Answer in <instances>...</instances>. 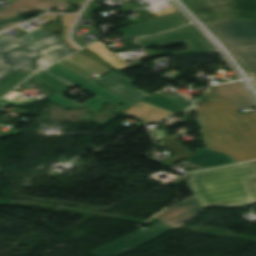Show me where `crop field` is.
Masks as SVG:
<instances>
[{
    "instance_id": "crop-field-1",
    "label": "crop field",
    "mask_w": 256,
    "mask_h": 256,
    "mask_svg": "<svg viewBox=\"0 0 256 256\" xmlns=\"http://www.w3.org/2000/svg\"><path fill=\"white\" fill-rule=\"evenodd\" d=\"M206 147L236 162L256 158V113L241 115L225 100L196 107Z\"/></svg>"
},
{
    "instance_id": "crop-field-10",
    "label": "crop field",
    "mask_w": 256,
    "mask_h": 256,
    "mask_svg": "<svg viewBox=\"0 0 256 256\" xmlns=\"http://www.w3.org/2000/svg\"><path fill=\"white\" fill-rule=\"evenodd\" d=\"M27 45L31 44L0 34V61L12 66H20L34 71L53 63L15 51Z\"/></svg>"
},
{
    "instance_id": "crop-field-14",
    "label": "crop field",
    "mask_w": 256,
    "mask_h": 256,
    "mask_svg": "<svg viewBox=\"0 0 256 256\" xmlns=\"http://www.w3.org/2000/svg\"><path fill=\"white\" fill-rule=\"evenodd\" d=\"M63 3L56 0H18L0 11V20L17 16L22 12L48 10Z\"/></svg>"
},
{
    "instance_id": "crop-field-15",
    "label": "crop field",
    "mask_w": 256,
    "mask_h": 256,
    "mask_svg": "<svg viewBox=\"0 0 256 256\" xmlns=\"http://www.w3.org/2000/svg\"><path fill=\"white\" fill-rule=\"evenodd\" d=\"M185 160L206 168L235 163L226 153L217 152L208 148L198 151Z\"/></svg>"
},
{
    "instance_id": "crop-field-16",
    "label": "crop field",
    "mask_w": 256,
    "mask_h": 256,
    "mask_svg": "<svg viewBox=\"0 0 256 256\" xmlns=\"http://www.w3.org/2000/svg\"><path fill=\"white\" fill-rule=\"evenodd\" d=\"M143 102L173 111V112H181L192 105V103L186 101L184 98L177 97H167L158 93L152 94L147 97Z\"/></svg>"
},
{
    "instance_id": "crop-field-6",
    "label": "crop field",
    "mask_w": 256,
    "mask_h": 256,
    "mask_svg": "<svg viewBox=\"0 0 256 256\" xmlns=\"http://www.w3.org/2000/svg\"><path fill=\"white\" fill-rule=\"evenodd\" d=\"M203 21L221 18L256 19V0H184Z\"/></svg>"
},
{
    "instance_id": "crop-field-17",
    "label": "crop field",
    "mask_w": 256,
    "mask_h": 256,
    "mask_svg": "<svg viewBox=\"0 0 256 256\" xmlns=\"http://www.w3.org/2000/svg\"><path fill=\"white\" fill-rule=\"evenodd\" d=\"M156 145L161 147V148L166 146L177 154V155H175V156H173V157H171V158L162 162V163L167 164L169 166L176 163L177 161H179L183 158H186V157L194 154V153L190 152L189 150L185 149L184 146H182L181 144L172 140L169 136H167L164 139L157 142Z\"/></svg>"
},
{
    "instance_id": "crop-field-20",
    "label": "crop field",
    "mask_w": 256,
    "mask_h": 256,
    "mask_svg": "<svg viewBox=\"0 0 256 256\" xmlns=\"http://www.w3.org/2000/svg\"><path fill=\"white\" fill-rule=\"evenodd\" d=\"M24 20H26V19L21 18V19L14 20V21H10V22H8V23H5V24L0 25V32L3 31V30L8 29V28H10V27H13V26H15V25L21 23V22L24 21Z\"/></svg>"
},
{
    "instance_id": "crop-field-11",
    "label": "crop field",
    "mask_w": 256,
    "mask_h": 256,
    "mask_svg": "<svg viewBox=\"0 0 256 256\" xmlns=\"http://www.w3.org/2000/svg\"><path fill=\"white\" fill-rule=\"evenodd\" d=\"M187 23L188 21L179 12H177L170 15L132 24L118 30L127 40H130L138 38L141 35H150L153 33L172 29Z\"/></svg>"
},
{
    "instance_id": "crop-field-23",
    "label": "crop field",
    "mask_w": 256,
    "mask_h": 256,
    "mask_svg": "<svg viewBox=\"0 0 256 256\" xmlns=\"http://www.w3.org/2000/svg\"><path fill=\"white\" fill-rule=\"evenodd\" d=\"M61 1H65V2H68V1H71V0H61Z\"/></svg>"
},
{
    "instance_id": "crop-field-12",
    "label": "crop field",
    "mask_w": 256,
    "mask_h": 256,
    "mask_svg": "<svg viewBox=\"0 0 256 256\" xmlns=\"http://www.w3.org/2000/svg\"><path fill=\"white\" fill-rule=\"evenodd\" d=\"M202 212L203 209L194 196L169 207L153 218L176 228Z\"/></svg>"
},
{
    "instance_id": "crop-field-21",
    "label": "crop field",
    "mask_w": 256,
    "mask_h": 256,
    "mask_svg": "<svg viewBox=\"0 0 256 256\" xmlns=\"http://www.w3.org/2000/svg\"><path fill=\"white\" fill-rule=\"evenodd\" d=\"M250 182H251V185H252V189H253V191L256 195V179H252V180H250Z\"/></svg>"
},
{
    "instance_id": "crop-field-22",
    "label": "crop field",
    "mask_w": 256,
    "mask_h": 256,
    "mask_svg": "<svg viewBox=\"0 0 256 256\" xmlns=\"http://www.w3.org/2000/svg\"><path fill=\"white\" fill-rule=\"evenodd\" d=\"M4 1H6V2L12 4V3H13L14 1H16V0H4Z\"/></svg>"
},
{
    "instance_id": "crop-field-18",
    "label": "crop field",
    "mask_w": 256,
    "mask_h": 256,
    "mask_svg": "<svg viewBox=\"0 0 256 256\" xmlns=\"http://www.w3.org/2000/svg\"><path fill=\"white\" fill-rule=\"evenodd\" d=\"M27 70L19 68L17 71L9 75L7 78L0 82V97L19 84L26 76L31 74Z\"/></svg>"
},
{
    "instance_id": "crop-field-7",
    "label": "crop field",
    "mask_w": 256,
    "mask_h": 256,
    "mask_svg": "<svg viewBox=\"0 0 256 256\" xmlns=\"http://www.w3.org/2000/svg\"><path fill=\"white\" fill-rule=\"evenodd\" d=\"M137 41L144 48L152 46L162 47L184 42L188 50L174 52L172 55L198 54L214 50L192 25H187L167 33L150 36Z\"/></svg>"
},
{
    "instance_id": "crop-field-13",
    "label": "crop field",
    "mask_w": 256,
    "mask_h": 256,
    "mask_svg": "<svg viewBox=\"0 0 256 256\" xmlns=\"http://www.w3.org/2000/svg\"><path fill=\"white\" fill-rule=\"evenodd\" d=\"M212 88L237 110L255 107L240 82L216 85Z\"/></svg>"
},
{
    "instance_id": "crop-field-25",
    "label": "crop field",
    "mask_w": 256,
    "mask_h": 256,
    "mask_svg": "<svg viewBox=\"0 0 256 256\" xmlns=\"http://www.w3.org/2000/svg\"><path fill=\"white\" fill-rule=\"evenodd\" d=\"M256 165V161L253 162Z\"/></svg>"
},
{
    "instance_id": "crop-field-2",
    "label": "crop field",
    "mask_w": 256,
    "mask_h": 256,
    "mask_svg": "<svg viewBox=\"0 0 256 256\" xmlns=\"http://www.w3.org/2000/svg\"><path fill=\"white\" fill-rule=\"evenodd\" d=\"M251 178H256V166L249 162L192 174L187 182L203 209L212 206L230 208L256 204L248 181Z\"/></svg>"
},
{
    "instance_id": "crop-field-8",
    "label": "crop field",
    "mask_w": 256,
    "mask_h": 256,
    "mask_svg": "<svg viewBox=\"0 0 256 256\" xmlns=\"http://www.w3.org/2000/svg\"><path fill=\"white\" fill-rule=\"evenodd\" d=\"M61 29H63V27L55 21L43 28H40V29L34 31L33 33L19 39V40L31 43L33 45L19 49V51H22L24 53L30 54L35 57H39V56H43V55L57 49V48H61L65 45H67L63 40H61L60 38H57L58 34H55L41 42L38 41L44 37L51 35L48 32H57ZM71 50H72L71 48L67 47L59 52H53L45 57H42V59H46V60L55 62L65 56L71 54L72 53V52H70Z\"/></svg>"
},
{
    "instance_id": "crop-field-24",
    "label": "crop field",
    "mask_w": 256,
    "mask_h": 256,
    "mask_svg": "<svg viewBox=\"0 0 256 256\" xmlns=\"http://www.w3.org/2000/svg\"><path fill=\"white\" fill-rule=\"evenodd\" d=\"M3 171H2V169L0 168V173H2Z\"/></svg>"
},
{
    "instance_id": "crop-field-9",
    "label": "crop field",
    "mask_w": 256,
    "mask_h": 256,
    "mask_svg": "<svg viewBox=\"0 0 256 256\" xmlns=\"http://www.w3.org/2000/svg\"><path fill=\"white\" fill-rule=\"evenodd\" d=\"M172 229L174 228L160 222L147 230H138L125 238L92 252L91 254L95 256H119L160 237V235Z\"/></svg>"
},
{
    "instance_id": "crop-field-19",
    "label": "crop field",
    "mask_w": 256,
    "mask_h": 256,
    "mask_svg": "<svg viewBox=\"0 0 256 256\" xmlns=\"http://www.w3.org/2000/svg\"><path fill=\"white\" fill-rule=\"evenodd\" d=\"M16 69H13V67L4 65L0 63V81L7 77L9 74L14 72Z\"/></svg>"
},
{
    "instance_id": "crop-field-4",
    "label": "crop field",
    "mask_w": 256,
    "mask_h": 256,
    "mask_svg": "<svg viewBox=\"0 0 256 256\" xmlns=\"http://www.w3.org/2000/svg\"><path fill=\"white\" fill-rule=\"evenodd\" d=\"M59 63L89 80L112 70L79 52ZM91 81L136 104L150 95L132 86L134 81L114 71Z\"/></svg>"
},
{
    "instance_id": "crop-field-5",
    "label": "crop field",
    "mask_w": 256,
    "mask_h": 256,
    "mask_svg": "<svg viewBox=\"0 0 256 256\" xmlns=\"http://www.w3.org/2000/svg\"><path fill=\"white\" fill-rule=\"evenodd\" d=\"M246 69L256 74V20L222 19L208 24Z\"/></svg>"
},
{
    "instance_id": "crop-field-3",
    "label": "crop field",
    "mask_w": 256,
    "mask_h": 256,
    "mask_svg": "<svg viewBox=\"0 0 256 256\" xmlns=\"http://www.w3.org/2000/svg\"><path fill=\"white\" fill-rule=\"evenodd\" d=\"M46 71L58 76L59 78L65 80L66 82L78 86L89 93L95 95L96 97L89 99L81 104L69 101L63 98V95L59 93L60 91L71 87V85L43 72L40 71L33 75L30 79L53 90H56L46 101L53 104H57L66 109L82 108L88 107L91 113L102 110V105L106 102L114 105L117 109L113 110L115 113H123L128 108L134 106L135 104L119 97L118 95L90 82L89 80L81 77L80 75L74 73L73 71L65 68L60 64H55L47 69ZM122 104H126L123 107H119Z\"/></svg>"
}]
</instances>
